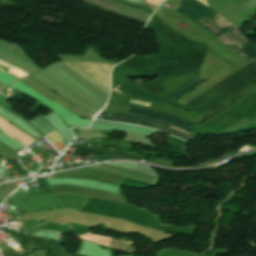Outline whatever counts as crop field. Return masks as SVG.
Here are the masks:
<instances>
[{
	"mask_svg": "<svg viewBox=\"0 0 256 256\" xmlns=\"http://www.w3.org/2000/svg\"><path fill=\"white\" fill-rule=\"evenodd\" d=\"M206 9L188 0H182L176 11L192 19L210 33H215L248 60L254 61L256 59V44L251 45L245 39L243 33H239L236 30L238 25Z\"/></svg>",
	"mask_w": 256,
	"mask_h": 256,
	"instance_id": "8a807250",
	"label": "crop field"
},
{
	"mask_svg": "<svg viewBox=\"0 0 256 256\" xmlns=\"http://www.w3.org/2000/svg\"><path fill=\"white\" fill-rule=\"evenodd\" d=\"M66 62L84 74L98 86L109 92L110 69L112 68L111 65L98 62Z\"/></svg>",
	"mask_w": 256,
	"mask_h": 256,
	"instance_id": "ac0d7876",
	"label": "crop field"
},
{
	"mask_svg": "<svg viewBox=\"0 0 256 256\" xmlns=\"http://www.w3.org/2000/svg\"><path fill=\"white\" fill-rule=\"evenodd\" d=\"M107 121L126 122V123L146 126V127H150V128H153V129L168 132L173 136L184 138V139L188 138V136L183 135V134L178 133V132H175V131L170 130L168 128H171V129L177 130L179 132L190 135V132L185 131V130H181V129H179L177 127H174L170 124L163 123V122L156 121V120H150V119H146V118L131 116V115H122V114L112 113V117L110 119H108ZM166 127H168V128H166Z\"/></svg>",
	"mask_w": 256,
	"mask_h": 256,
	"instance_id": "34b2d1b8",
	"label": "crop field"
},
{
	"mask_svg": "<svg viewBox=\"0 0 256 256\" xmlns=\"http://www.w3.org/2000/svg\"><path fill=\"white\" fill-rule=\"evenodd\" d=\"M128 114H133V115H137V116H142V117H146V118L164 121V122L170 123L174 126H177L179 128L185 129V130H188L193 125V123L178 119L176 117H173V116H170V115H167L164 113L136 109L133 107H131Z\"/></svg>",
	"mask_w": 256,
	"mask_h": 256,
	"instance_id": "412701ff",
	"label": "crop field"
},
{
	"mask_svg": "<svg viewBox=\"0 0 256 256\" xmlns=\"http://www.w3.org/2000/svg\"><path fill=\"white\" fill-rule=\"evenodd\" d=\"M117 87H119V86H117ZM116 88H114L113 91L120 90V91H122V93L130 94V95H133V96H136L139 98H143V99H147V100H151V101H155V102H159V103H166V104H170V105H174V106H178V107L182 106L172 100L163 98L161 96H150V95L144 93L143 91L139 90L135 84H133L131 81H129L127 79L124 80V82L121 84V86L119 88H117V90H115ZM120 91H118V92H120Z\"/></svg>",
	"mask_w": 256,
	"mask_h": 256,
	"instance_id": "f4fd0767",
	"label": "crop field"
},
{
	"mask_svg": "<svg viewBox=\"0 0 256 256\" xmlns=\"http://www.w3.org/2000/svg\"><path fill=\"white\" fill-rule=\"evenodd\" d=\"M206 81L208 80L205 79L203 76L198 75L193 79H191L190 81H188L187 83H185L183 86H181L177 90H175L174 92L168 94L167 97L175 100Z\"/></svg>",
	"mask_w": 256,
	"mask_h": 256,
	"instance_id": "dd49c442",
	"label": "crop field"
},
{
	"mask_svg": "<svg viewBox=\"0 0 256 256\" xmlns=\"http://www.w3.org/2000/svg\"><path fill=\"white\" fill-rule=\"evenodd\" d=\"M87 146H90V145H87Z\"/></svg>",
	"mask_w": 256,
	"mask_h": 256,
	"instance_id": "e52e79f7",
	"label": "crop field"
}]
</instances>
